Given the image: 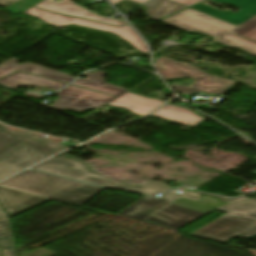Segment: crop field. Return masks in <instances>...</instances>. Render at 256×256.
Returning <instances> with one entry per match:
<instances>
[{
  "mask_svg": "<svg viewBox=\"0 0 256 256\" xmlns=\"http://www.w3.org/2000/svg\"><path fill=\"white\" fill-rule=\"evenodd\" d=\"M25 95H27V96H32V97H37V98L42 97V95L32 94V93H26Z\"/></svg>",
  "mask_w": 256,
  "mask_h": 256,
  "instance_id": "crop-field-29",
  "label": "crop field"
},
{
  "mask_svg": "<svg viewBox=\"0 0 256 256\" xmlns=\"http://www.w3.org/2000/svg\"><path fill=\"white\" fill-rule=\"evenodd\" d=\"M211 211L202 213L171 204L142 222L177 230Z\"/></svg>",
  "mask_w": 256,
  "mask_h": 256,
  "instance_id": "crop-field-10",
  "label": "crop field"
},
{
  "mask_svg": "<svg viewBox=\"0 0 256 256\" xmlns=\"http://www.w3.org/2000/svg\"><path fill=\"white\" fill-rule=\"evenodd\" d=\"M215 2L229 3L239 7L241 10L238 13L225 11L221 12L212 7L199 3L191 8L204 12L206 14L212 15L214 17L220 18L227 22L233 23L235 25H240L248 19L256 15V0H212ZM248 14H252L249 16Z\"/></svg>",
  "mask_w": 256,
  "mask_h": 256,
  "instance_id": "crop-field-12",
  "label": "crop field"
},
{
  "mask_svg": "<svg viewBox=\"0 0 256 256\" xmlns=\"http://www.w3.org/2000/svg\"><path fill=\"white\" fill-rule=\"evenodd\" d=\"M152 116L193 126H196L204 120L187 109H183L169 104L163 106L161 109L152 114Z\"/></svg>",
  "mask_w": 256,
  "mask_h": 256,
  "instance_id": "crop-field-19",
  "label": "crop field"
},
{
  "mask_svg": "<svg viewBox=\"0 0 256 256\" xmlns=\"http://www.w3.org/2000/svg\"><path fill=\"white\" fill-rule=\"evenodd\" d=\"M116 97L104 95L90 90L69 85L58 92V99L54 105L42 103L55 109L65 110L66 108L82 112L86 109L99 108L110 103Z\"/></svg>",
  "mask_w": 256,
  "mask_h": 256,
  "instance_id": "crop-field-6",
  "label": "crop field"
},
{
  "mask_svg": "<svg viewBox=\"0 0 256 256\" xmlns=\"http://www.w3.org/2000/svg\"><path fill=\"white\" fill-rule=\"evenodd\" d=\"M50 1L51 0H45L44 2L36 5V7L49 10V11L58 12V13H63V14L82 17L86 19L99 21V22H104V23H108L116 26L126 25V23H123V22L98 17L84 10L83 8L77 6L76 4L70 2L69 0H62L59 4H55Z\"/></svg>",
  "mask_w": 256,
  "mask_h": 256,
  "instance_id": "crop-field-15",
  "label": "crop field"
},
{
  "mask_svg": "<svg viewBox=\"0 0 256 256\" xmlns=\"http://www.w3.org/2000/svg\"><path fill=\"white\" fill-rule=\"evenodd\" d=\"M24 13L36 16L42 19L43 21L60 28H63L69 24H74V25H79L83 27L108 31L116 34L117 36H119L124 40L129 41L132 44V46L137 48L140 52H148V50H146L141 46L144 43L143 40L133 31V29L129 25L122 28H116L112 26L99 24V23H94L90 21H85L81 19H76V18H71L67 16H62V15L41 11L34 7L28 9Z\"/></svg>",
  "mask_w": 256,
  "mask_h": 256,
  "instance_id": "crop-field-5",
  "label": "crop field"
},
{
  "mask_svg": "<svg viewBox=\"0 0 256 256\" xmlns=\"http://www.w3.org/2000/svg\"><path fill=\"white\" fill-rule=\"evenodd\" d=\"M256 225V220L226 214L191 234L227 241Z\"/></svg>",
  "mask_w": 256,
  "mask_h": 256,
  "instance_id": "crop-field-8",
  "label": "crop field"
},
{
  "mask_svg": "<svg viewBox=\"0 0 256 256\" xmlns=\"http://www.w3.org/2000/svg\"><path fill=\"white\" fill-rule=\"evenodd\" d=\"M181 197L196 201L202 198L201 195L191 191H186L181 196L175 193H169L162 199L144 196L117 215L141 221Z\"/></svg>",
  "mask_w": 256,
  "mask_h": 256,
  "instance_id": "crop-field-9",
  "label": "crop field"
},
{
  "mask_svg": "<svg viewBox=\"0 0 256 256\" xmlns=\"http://www.w3.org/2000/svg\"><path fill=\"white\" fill-rule=\"evenodd\" d=\"M11 228L5 213L0 208V247L4 249V256H16Z\"/></svg>",
  "mask_w": 256,
  "mask_h": 256,
  "instance_id": "crop-field-22",
  "label": "crop field"
},
{
  "mask_svg": "<svg viewBox=\"0 0 256 256\" xmlns=\"http://www.w3.org/2000/svg\"><path fill=\"white\" fill-rule=\"evenodd\" d=\"M0 185L80 206L103 190L32 170L23 171L1 182Z\"/></svg>",
  "mask_w": 256,
  "mask_h": 256,
  "instance_id": "crop-field-1",
  "label": "crop field"
},
{
  "mask_svg": "<svg viewBox=\"0 0 256 256\" xmlns=\"http://www.w3.org/2000/svg\"><path fill=\"white\" fill-rule=\"evenodd\" d=\"M158 63L163 64L164 67L162 69L159 68ZM156 69L165 79L182 76H188L195 79L193 87L172 85V87L184 94L193 92L223 94L236 83V81L225 80L219 76H211L190 64L174 62L164 56L157 59Z\"/></svg>",
  "mask_w": 256,
  "mask_h": 256,
  "instance_id": "crop-field-4",
  "label": "crop field"
},
{
  "mask_svg": "<svg viewBox=\"0 0 256 256\" xmlns=\"http://www.w3.org/2000/svg\"><path fill=\"white\" fill-rule=\"evenodd\" d=\"M18 60L15 58H12L5 63L0 65V78L5 77L17 70L37 74L40 76L48 77L51 79L63 81V82H71L74 77H71L65 73L57 72L33 63H27V64H18L16 63Z\"/></svg>",
  "mask_w": 256,
  "mask_h": 256,
  "instance_id": "crop-field-14",
  "label": "crop field"
},
{
  "mask_svg": "<svg viewBox=\"0 0 256 256\" xmlns=\"http://www.w3.org/2000/svg\"><path fill=\"white\" fill-rule=\"evenodd\" d=\"M48 156L50 155L22 144L0 160V180Z\"/></svg>",
  "mask_w": 256,
  "mask_h": 256,
  "instance_id": "crop-field-11",
  "label": "crop field"
},
{
  "mask_svg": "<svg viewBox=\"0 0 256 256\" xmlns=\"http://www.w3.org/2000/svg\"><path fill=\"white\" fill-rule=\"evenodd\" d=\"M33 169L84 181L86 183L131 190L153 196H156L158 193L164 195L171 190V187L166 183L154 180H150L141 186H129L118 183L108 177L94 172L85 161L68 154L58 158L53 157L33 167Z\"/></svg>",
  "mask_w": 256,
  "mask_h": 256,
  "instance_id": "crop-field-2",
  "label": "crop field"
},
{
  "mask_svg": "<svg viewBox=\"0 0 256 256\" xmlns=\"http://www.w3.org/2000/svg\"><path fill=\"white\" fill-rule=\"evenodd\" d=\"M90 72H87L84 74V76L90 78L89 80L79 78L77 81H75L71 85L79 86L82 88L90 89L93 91L101 92V93L116 96V97L128 91L121 87L104 83L105 81L104 76L106 75L105 72L95 71L93 74H89Z\"/></svg>",
  "mask_w": 256,
  "mask_h": 256,
  "instance_id": "crop-field-18",
  "label": "crop field"
},
{
  "mask_svg": "<svg viewBox=\"0 0 256 256\" xmlns=\"http://www.w3.org/2000/svg\"><path fill=\"white\" fill-rule=\"evenodd\" d=\"M112 4H116L118 1H120V0H109ZM132 1H135V2H138V3H141V4H143V3H145V2H147L148 0H132Z\"/></svg>",
  "mask_w": 256,
  "mask_h": 256,
  "instance_id": "crop-field-28",
  "label": "crop field"
},
{
  "mask_svg": "<svg viewBox=\"0 0 256 256\" xmlns=\"http://www.w3.org/2000/svg\"><path fill=\"white\" fill-rule=\"evenodd\" d=\"M16 1H18V0H0V6L6 7Z\"/></svg>",
  "mask_w": 256,
  "mask_h": 256,
  "instance_id": "crop-field-27",
  "label": "crop field"
},
{
  "mask_svg": "<svg viewBox=\"0 0 256 256\" xmlns=\"http://www.w3.org/2000/svg\"><path fill=\"white\" fill-rule=\"evenodd\" d=\"M162 103V101L146 99L126 92L111 102L110 105L122 107L133 113L145 116Z\"/></svg>",
  "mask_w": 256,
  "mask_h": 256,
  "instance_id": "crop-field-16",
  "label": "crop field"
},
{
  "mask_svg": "<svg viewBox=\"0 0 256 256\" xmlns=\"http://www.w3.org/2000/svg\"><path fill=\"white\" fill-rule=\"evenodd\" d=\"M256 235V227L250 229L249 231L243 233L242 235L238 236V238H250Z\"/></svg>",
  "mask_w": 256,
  "mask_h": 256,
  "instance_id": "crop-field-26",
  "label": "crop field"
},
{
  "mask_svg": "<svg viewBox=\"0 0 256 256\" xmlns=\"http://www.w3.org/2000/svg\"><path fill=\"white\" fill-rule=\"evenodd\" d=\"M173 204L188 207V208L195 209V210L202 211V212H205V211L211 209L212 207L223 205L217 199L207 197V196H203V198L201 200H199L198 202L192 201L189 199H185V198H181V199L177 200L176 202H174Z\"/></svg>",
  "mask_w": 256,
  "mask_h": 256,
  "instance_id": "crop-field-23",
  "label": "crop field"
},
{
  "mask_svg": "<svg viewBox=\"0 0 256 256\" xmlns=\"http://www.w3.org/2000/svg\"><path fill=\"white\" fill-rule=\"evenodd\" d=\"M172 1L181 3V4L186 5V6L189 7V6L193 5V4L202 2V1H204V0H172Z\"/></svg>",
  "mask_w": 256,
  "mask_h": 256,
  "instance_id": "crop-field-25",
  "label": "crop field"
},
{
  "mask_svg": "<svg viewBox=\"0 0 256 256\" xmlns=\"http://www.w3.org/2000/svg\"><path fill=\"white\" fill-rule=\"evenodd\" d=\"M22 143H26L50 155L68 148L31 132L11 131L9 128L0 125V159Z\"/></svg>",
  "mask_w": 256,
  "mask_h": 256,
  "instance_id": "crop-field-7",
  "label": "crop field"
},
{
  "mask_svg": "<svg viewBox=\"0 0 256 256\" xmlns=\"http://www.w3.org/2000/svg\"><path fill=\"white\" fill-rule=\"evenodd\" d=\"M163 22L188 31L205 33L217 38L214 40L216 42L235 48H241L256 55V42L227 33V31L234 28L235 25L193 9L187 8L163 20Z\"/></svg>",
  "mask_w": 256,
  "mask_h": 256,
  "instance_id": "crop-field-3",
  "label": "crop field"
},
{
  "mask_svg": "<svg viewBox=\"0 0 256 256\" xmlns=\"http://www.w3.org/2000/svg\"><path fill=\"white\" fill-rule=\"evenodd\" d=\"M47 200L0 187V204L11 216Z\"/></svg>",
  "mask_w": 256,
  "mask_h": 256,
  "instance_id": "crop-field-13",
  "label": "crop field"
},
{
  "mask_svg": "<svg viewBox=\"0 0 256 256\" xmlns=\"http://www.w3.org/2000/svg\"><path fill=\"white\" fill-rule=\"evenodd\" d=\"M144 6H146L148 16L153 19H162L186 8L169 0H153Z\"/></svg>",
  "mask_w": 256,
  "mask_h": 256,
  "instance_id": "crop-field-20",
  "label": "crop field"
},
{
  "mask_svg": "<svg viewBox=\"0 0 256 256\" xmlns=\"http://www.w3.org/2000/svg\"><path fill=\"white\" fill-rule=\"evenodd\" d=\"M0 84L9 86L13 89H15L18 86L22 87H43V86H49L53 88L52 90L56 91L59 88H61L66 83L33 76L21 72H16L2 80H0ZM67 85V84H66Z\"/></svg>",
  "mask_w": 256,
  "mask_h": 256,
  "instance_id": "crop-field-17",
  "label": "crop field"
},
{
  "mask_svg": "<svg viewBox=\"0 0 256 256\" xmlns=\"http://www.w3.org/2000/svg\"><path fill=\"white\" fill-rule=\"evenodd\" d=\"M220 210L225 213L256 219V199H244L233 204L220 207Z\"/></svg>",
  "mask_w": 256,
  "mask_h": 256,
  "instance_id": "crop-field-21",
  "label": "crop field"
},
{
  "mask_svg": "<svg viewBox=\"0 0 256 256\" xmlns=\"http://www.w3.org/2000/svg\"><path fill=\"white\" fill-rule=\"evenodd\" d=\"M232 33L256 41V16L238 26Z\"/></svg>",
  "mask_w": 256,
  "mask_h": 256,
  "instance_id": "crop-field-24",
  "label": "crop field"
}]
</instances>
